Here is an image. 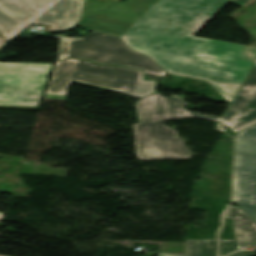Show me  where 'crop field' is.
<instances>
[{"instance_id":"obj_1","label":"crop field","mask_w":256,"mask_h":256,"mask_svg":"<svg viewBox=\"0 0 256 256\" xmlns=\"http://www.w3.org/2000/svg\"><path fill=\"white\" fill-rule=\"evenodd\" d=\"M228 1L159 0L121 39L168 73L207 80L231 102L236 94L224 83L241 85L250 73L252 62L237 59L245 46L192 36Z\"/></svg>"},{"instance_id":"obj_2","label":"crop field","mask_w":256,"mask_h":256,"mask_svg":"<svg viewBox=\"0 0 256 256\" xmlns=\"http://www.w3.org/2000/svg\"><path fill=\"white\" fill-rule=\"evenodd\" d=\"M187 103L176 97L163 98L159 93L137 102L140 124L134 125L137 158L140 160L191 158L189 147L178 138L176 130L163 126V119L197 117L220 121L221 118L192 113Z\"/></svg>"},{"instance_id":"obj_3","label":"crop field","mask_w":256,"mask_h":256,"mask_svg":"<svg viewBox=\"0 0 256 256\" xmlns=\"http://www.w3.org/2000/svg\"><path fill=\"white\" fill-rule=\"evenodd\" d=\"M140 70L99 66L92 62L68 59L57 61L45 98L64 99L71 81L143 98L155 92L157 82L143 80Z\"/></svg>"},{"instance_id":"obj_4","label":"crop field","mask_w":256,"mask_h":256,"mask_svg":"<svg viewBox=\"0 0 256 256\" xmlns=\"http://www.w3.org/2000/svg\"><path fill=\"white\" fill-rule=\"evenodd\" d=\"M66 57L93 60L102 65L129 66L149 74L166 75L152 59L126 47L121 39L96 31L77 40L61 38L58 60Z\"/></svg>"},{"instance_id":"obj_5","label":"crop field","mask_w":256,"mask_h":256,"mask_svg":"<svg viewBox=\"0 0 256 256\" xmlns=\"http://www.w3.org/2000/svg\"><path fill=\"white\" fill-rule=\"evenodd\" d=\"M52 65L0 62V108L38 110Z\"/></svg>"},{"instance_id":"obj_6","label":"crop field","mask_w":256,"mask_h":256,"mask_svg":"<svg viewBox=\"0 0 256 256\" xmlns=\"http://www.w3.org/2000/svg\"><path fill=\"white\" fill-rule=\"evenodd\" d=\"M256 197V125L236 134L233 197ZM256 222V199H233Z\"/></svg>"},{"instance_id":"obj_7","label":"crop field","mask_w":256,"mask_h":256,"mask_svg":"<svg viewBox=\"0 0 256 256\" xmlns=\"http://www.w3.org/2000/svg\"><path fill=\"white\" fill-rule=\"evenodd\" d=\"M256 124V68L237 99L219 124L225 132L229 126L235 133Z\"/></svg>"},{"instance_id":"obj_8","label":"crop field","mask_w":256,"mask_h":256,"mask_svg":"<svg viewBox=\"0 0 256 256\" xmlns=\"http://www.w3.org/2000/svg\"><path fill=\"white\" fill-rule=\"evenodd\" d=\"M47 6L44 0H0V39L10 37Z\"/></svg>"},{"instance_id":"obj_9","label":"crop field","mask_w":256,"mask_h":256,"mask_svg":"<svg viewBox=\"0 0 256 256\" xmlns=\"http://www.w3.org/2000/svg\"><path fill=\"white\" fill-rule=\"evenodd\" d=\"M140 17L141 15L133 13L124 2L113 3L107 10L93 13L92 17L80 26L122 35Z\"/></svg>"},{"instance_id":"obj_10","label":"crop field","mask_w":256,"mask_h":256,"mask_svg":"<svg viewBox=\"0 0 256 256\" xmlns=\"http://www.w3.org/2000/svg\"><path fill=\"white\" fill-rule=\"evenodd\" d=\"M83 0H60L31 24L50 25V31L66 30L80 22Z\"/></svg>"},{"instance_id":"obj_11","label":"crop field","mask_w":256,"mask_h":256,"mask_svg":"<svg viewBox=\"0 0 256 256\" xmlns=\"http://www.w3.org/2000/svg\"><path fill=\"white\" fill-rule=\"evenodd\" d=\"M224 217L233 218L239 249L256 248V223L240 208L230 206Z\"/></svg>"},{"instance_id":"obj_12","label":"crop field","mask_w":256,"mask_h":256,"mask_svg":"<svg viewBox=\"0 0 256 256\" xmlns=\"http://www.w3.org/2000/svg\"><path fill=\"white\" fill-rule=\"evenodd\" d=\"M157 1L158 0H124L133 12L141 15H143Z\"/></svg>"},{"instance_id":"obj_13","label":"crop field","mask_w":256,"mask_h":256,"mask_svg":"<svg viewBox=\"0 0 256 256\" xmlns=\"http://www.w3.org/2000/svg\"><path fill=\"white\" fill-rule=\"evenodd\" d=\"M109 4L110 3H93V0H84L82 21L88 18L93 11L107 8Z\"/></svg>"},{"instance_id":"obj_14","label":"crop field","mask_w":256,"mask_h":256,"mask_svg":"<svg viewBox=\"0 0 256 256\" xmlns=\"http://www.w3.org/2000/svg\"><path fill=\"white\" fill-rule=\"evenodd\" d=\"M200 256H217L216 241H202Z\"/></svg>"},{"instance_id":"obj_15","label":"crop field","mask_w":256,"mask_h":256,"mask_svg":"<svg viewBox=\"0 0 256 256\" xmlns=\"http://www.w3.org/2000/svg\"><path fill=\"white\" fill-rule=\"evenodd\" d=\"M201 241H187L185 256H199Z\"/></svg>"},{"instance_id":"obj_16","label":"crop field","mask_w":256,"mask_h":256,"mask_svg":"<svg viewBox=\"0 0 256 256\" xmlns=\"http://www.w3.org/2000/svg\"><path fill=\"white\" fill-rule=\"evenodd\" d=\"M239 58L254 61L253 64L249 68V70H252L253 66L256 63V47L246 46V48L241 53Z\"/></svg>"},{"instance_id":"obj_17","label":"crop field","mask_w":256,"mask_h":256,"mask_svg":"<svg viewBox=\"0 0 256 256\" xmlns=\"http://www.w3.org/2000/svg\"><path fill=\"white\" fill-rule=\"evenodd\" d=\"M221 253L220 256L237 250L236 241H220Z\"/></svg>"},{"instance_id":"obj_18","label":"crop field","mask_w":256,"mask_h":256,"mask_svg":"<svg viewBox=\"0 0 256 256\" xmlns=\"http://www.w3.org/2000/svg\"><path fill=\"white\" fill-rule=\"evenodd\" d=\"M256 2V0H230L229 3L241 6V7H248L252 3Z\"/></svg>"},{"instance_id":"obj_19","label":"crop field","mask_w":256,"mask_h":256,"mask_svg":"<svg viewBox=\"0 0 256 256\" xmlns=\"http://www.w3.org/2000/svg\"><path fill=\"white\" fill-rule=\"evenodd\" d=\"M230 256H256V251L237 252Z\"/></svg>"},{"instance_id":"obj_20","label":"crop field","mask_w":256,"mask_h":256,"mask_svg":"<svg viewBox=\"0 0 256 256\" xmlns=\"http://www.w3.org/2000/svg\"><path fill=\"white\" fill-rule=\"evenodd\" d=\"M6 160H7V158H2V159H0V172H2L3 170H5L7 167H4V166H2L4 163H7L6 162ZM9 160V159H8ZM9 161H11V160H9ZM8 161V162H9ZM1 174V173H0Z\"/></svg>"},{"instance_id":"obj_21","label":"crop field","mask_w":256,"mask_h":256,"mask_svg":"<svg viewBox=\"0 0 256 256\" xmlns=\"http://www.w3.org/2000/svg\"><path fill=\"white\" fill-rule=\"evenodd\" d=\"M227 85V84H226ZM229 88H231L236 94H237V92H238V90H239V88L241 87V86H232V85H227Z\"/></svg>"},{"instance_id":"obj_22","label":"crop field","mask_w":256,"mask_h":256,"mask_svg":"<svg viewBox=\"0 0 256 256\" xmlns=\"http://www.w3.org/2000/svg\"><path fill=\"white\" fill-rule=\"evenodd\" d=\"M158 256H177V255L158 254Z\"/></svg>"},{"instance_id":"obj_23","label":"crop field","mask_w":256,"mask_h":256,"mask_svg":"<svg viewBox=\"0 0 256 256\" xmlns=\"http://www.w3.org/2000/svg\"><path fill=\"white\" fill-rule=\"evenodd\" d=\"M3 214L0 213V219L2 218Z\"/></svg>"},{"instance_id":"obj_24","label":"crop field","mask_w":256,"mask_h":256,"mask_svg":"<svg viewBox=\"0 0 256 256\" xmlns=\"http://www.w3.org/2000/svg\"><path fill=\"white\" fill-rule=\"evenodd\" d=\"M47 1H49V2H53L54 0H47Z\"/></svg>"},{"instance_id":"obj_25","label":"crop field","mask_w":256,"mask_h":256,"mask_svg":"<svg viewBox=\"0 0 256 256\" xmlns=\"http://www.w3.org/2000/svg\"><path fill=\"white\" fill-rule=\"evenodd\" d=\"M0 42H2V41L0 40Z\"/></svg>"}]
</instances>
